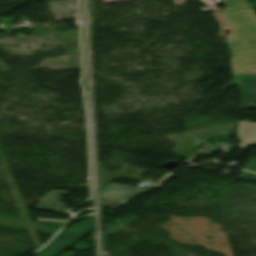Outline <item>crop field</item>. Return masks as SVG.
Listing matches in <instances>:
<instances>
[{
	"label": "crop field",
	"mask_w": 256,
	"mask_h": 256,
	"mask_svg": "<svg viewBox=\"0 0 256 256\" xmlns=\"http://www.w3.org/2000/svg\"><path fill=\"white\" fill-rule=\"evenodd\" d=\"M237 11L218 14L225 32L228 49L237 53L256 48V13L246 0H229Z\"/></svg>",
	"instance_id": "1"
},
{
	"label": "crop field",
	"mask_w": 256,
	"mask_h": 256,
	"mask_svg": "<svg viewBox=\"0 0 256 256\" xmlns=\"http://www.w3.org/2000/svg\"><path fill=\"white\" fill-rule=\"evenodd\" d=\"M69 192L50 190L38 205V209L61 214H68L64 203L59 198L61 195H68Z\"/></svg>",
	"instance_id": "6"
},
{
	"label": "crop field",
	"mask_w": 256,
	"mask_h": 256,
	"mask_svg": "<svg viewBox=\"0 0 256 256\" xmlns=\"http://www.w3.org/2000/svg\"><path fill=\"white\" fill-rule=\"evenodd\" d=\"M93 226V217L84 220L61 231L42 251L36 256H54L63 247L74 243L83 233Z\"/></svg>",
	"instance_id": "2"
},
{
	"label": "crop field",
	"mask_w": 256,
	"mask_h": 256,
	"mask_svg": "<svg viewBox=\"0 0 256 256\" xmlns=\"http://www.w3.org/2000/svg\"><path fill=\"white\" fill-rule=\"evenodd\" d=\"M38 219L37 221H43V222H57V223H64L67 220H60V219H42V218H35Z\"/></svg>",
	"instance_id": "13"
},
{
	"label": "crop field",
	"mask_w": 256,
	"mask_h": 256,
	"mask_svg": "<svg viewBox=\"0 0 256 256\" xmlns=\"http://www.w3.org/2000/svg\"><path fill=\"white\" fill-rule=\"evenodd\" d=\"M54 19H78L76 1L48 3Z\"/></svg>",
	"instance_id": "7"
},
{
	"label": "crop field",
	"mask_w": 256,
	"mask_h": 256,
	"mask_svg": "<svg viewBox=\"0 0 256 256\" xmlns=\"http://www.w3.org/2000/svg\"><path fill=\"white\" fill-rule=\"evenodd\" d=\"M245 169L256 172V158L252 157L245 166Z\"/></svg>",
	"instance_id": "12"
},
{
	"label": "crop field",
	"mask_w": 256,
	"mask_h": 256,
	"mask_svg": "<svg viewBox=\"0 0 256 256\" xmlns=\"http://www.w3.org/2000/svg\"><path fill=\"white\" fill-rule=\"evenodd\" d=\"M217 146L209 145L205 143L200 149H196L194 155H190L189 158L185 161V163L192 164V162L196 159L198 154L211 155V153L216 149Z\"/></svg>",
	"instance_id": "9"
},
{
	"label": "crop field",
	"mask_w": 256,
	"mask_h": 256,
	"mask_svg": "<svg viewBox=\"0 0 256 256\" xmlns=\"http://www.w3.org/2000/svg\"><path fill=\"white\" fill-rule=\"evenodd\" d=\"M234 75H256V49L232 55Z\"/></svg>",
	"instance_id": "5"
},
{
	"label": "crop field",
	"mask_w": 256,
	"mask_h": 256,
	"mask_svg": "<svg viewBox=\"0 0 256 256\" xmlns=\"http://www.w3.org/2000/svg\"><path fill=\"white\" fill-rule=\"evenodd\" d=\"M117 1H121V0H109V2H117Z\"/></svg>",
	"instance_id": "14"
},
{
	"label": "crop field",
	"mask_w": 256,
	"mask_h": 256,
	"mask_svg": "<svg viewBox=\"0 0 256 256\" xmlns=\"http://www.w3.org/2000/svg\"><path fill=\"white\" fill-rule=\"evenodd\" d=\"M145 190L147 189L111 183L100 190V203L102 206L113 205Z\"/></svg>",
	"instance_id": "3"
},
{
	"label": "crop field",
	"mask_w": 256,
	"mask_h": 256,
	"mask_svg": "<svg viewBox=\"0 0 256 256\" xmlns=\"http://www.w3.org/2000/svg\"><path fill=\"white\" fill-rule=\"evenodd\" d=\"M235 80L223 90L237 82L238 89L243 95L241 108L256 109V76H234Z\"/></svg>",
	"instance_id": "4"
},
{
	"label": "crop field",
	"mask_w": 256,
	"mask_h": 256,
	"mask_svg": "<svg viewBox=\"0 0 256 256\" xmlns=\"http://www.w3.org/2000/svg\"><path fill=\"white\" fill-rule=\"evenodd\" d=\"M238 179L256 181V174L241 171Z\"/></svg>",
	"instance_id": "11"
},
{
	"label": "crop field",
	"mask_w": 256,
	"mask_h": 256,
	"mask_svg": "<svg viewBox=\"0 0 256 256\" xmlns=\"http://www.w3.org/2000/svg\"><path fill=\"white\" fill-rule=\"evenodd\" d=\"M236 135L240 139L239 145L242 149L256 143V122L239 121Z\"/></svg>",
	"instance_id": "8"
},
{
	"label": "crop field",
	"mask_w": 256,
	"mask_h": 256,
	"mask_svg": "<svg viewBox=\"0 0 256 256\" xmlns=\"http://www.w3.org/2000/svg\"><path fill=\"white\" fill-rule=\"evenodd\" d=\"M73 248L79 250L78 252L82 251L83 249H90L91 247L87 246L86 244L80 242L78 245L74 246ZM77 252V253H78ZM76 253H73L71 251L61 254V256H74Z\"/></svg>",
	"instance_id": "10"
}]
</instances>
